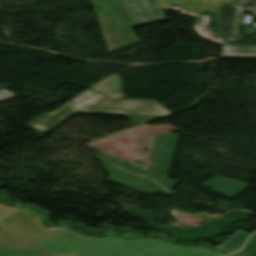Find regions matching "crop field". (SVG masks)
Listing matches in <instances>:
<instances>
[{
  "mask_svg": "<svg viewBox=\"0 0 256 256\" xmlns=\"http://www.w3.org/2000/svg\"><path fill=\"white\" fill-rule=\"evenodd\" d=\"M0 256H57L0 224Z\"/></svg>",
  "mask_w": 256,
  "mask_h": 256,
  "instance_id": "obj_6",
  "label": "crop field"
},
{
  "mask_svg": "<svg viewBox=\"0 0 256 256\" xmlns=\"http://www.w3.org/2000/svg\"><path fill=\"white\" fill-rule=\"evenodd\" d=\"M163 9L197 18L193 27L217 44L256 45V31L239 34L243 10L252 11L256 0H159ZM256 16V10L254 14Z\"/></svg>",
  "mask_w": 256,
  "mask_h": 256,
  "instance_id": "obj_2",
  "label": "crop field"
},
{
  "mask_svg": "<svg viewBox=\"0 0 256 256\" xmlns=\"http://www.w3.org/2000/svg\"><path fill=\"white\" fill-rule=\"evenodd\" d=\"M213 189L215 192L221 193L230 198L235 197L244 189H246L250 184L242 183L239 181L231 180L224 177L215 176L209 181L202 184Z\"/></svg>",
  "mask_w": 256,
  "mask_h": 256,
  "instance_id": "obj_7",
  "label": "crop field"
},
{
  "mask_svg": "<svg viewBox=\"0 0 256 256\" xmlns=\"http://www.w3.org/2000/svg\"><path fill=\"white\" fill-rule=\"evenodd\" d=\"M93 1L109 52L138 42L137 37L128 28L134 26V24L131 25L130 23H136L137 20H142L143 22L136 23L139 25L166 18L157 0ZM120 32H122L126 38H124ZM120 39L123 42H121ZM114 43L118 47H116Z\"/></svg>",
  "mask_w": 256,
  "mask_h": 256,
  "instance_id": "obj_5",
  "label": "crop field"
},
{
  "mask_svg": "<svg viewBox=\"0 0 256 256\" xmlns=\"http://www.w3.org/2000/svg\"><path fill=\"white\" fill-rule=\"evenodd\" d=\"M14 96H16V95L5 90V89L0 91V101L6 100V99L14 97Z\"/></svg>",
  "mask_w": 256,
  "mask_h": 256,
  "instance_id": "obj_11",
  "label": "crop field"
},
{
  "mask_svg": "<svg viewBox=\"0 0 256 256\" xmlns=\"http://www.w3.org/2000/svg\"><path fill=\"white\" fill-rule=\"evenodd\" d=\"M255 141H256V139H255Z\"/></svg>",
  "mask_w": 256,
  "mask_h": 256,
  "instance_id": "obj_13",
  "label": "crop field"
},
{
  "mask_svg": "<svg viewBox=\"0 0 256 256\" xmlns=\"http://www.w3.org/2000/svg\"><path fill=\"white\" fill-rule=\"evenodd\" d=\"M76 113L123 115L139 124L170 114L157 102L113 100L89 89L57 111L37 117L26 127L44 135Z\"/></svg>",
  "mask_w": 256,
  "mask_h": 256,
  "instance_id": "obj_3",
  "label": "crop field"
},
{
  "mask_svg": "<svg viewBox=\"0 0 256 256\" xmlns=\"http://www.w3.org/2000/svg\"><path fill=\"white\" fill-rule=\"evenodd\" d=\"M38 213L0 204V223L58 256H223L203 247H183L159 239L87 238L72 230L47 229Z\"/></svg>",
  "mask_w": 256,
  "mask_h": 256,
  "instance_id": "obj_1",
  "label": "crop field"
},
{
  "mask_svg": "<svg viewBox=\"0 0 256 256\" xmlns=\"http://www.w3.org/2000/svg\"><path fill=\"white\" fill-rule=\"evenodd\" d=\"M9 86H12V85H3V84H0V90L3 89V88L9 87Z\"/></svg>",
  "mask_w": 256,
  "mask_h": 256,
  "instance_id": "obj_12",
  "label": "crop field"
},
{
  "mask_svg": "<svg viewBox=\"0 0 256 256\" xmlns=\"http://www.w3.org/2000/svg\"><path fill=\"white\" fill-rule=\"evenodd\" d=\"M250 234L237 230L228 240L215 247L227 253L241 248Z\"/></svg>",
  "mask_w": 256,
  "mask_h": 256,
  "instance_id": "obj_9",
  "label": "crop field"
},
{
  "mask_svg": "<svg viewBox=\"0 0 256 256\" xmlns=\"http://www.w3.org/2000/svg\"><path fill=\"white\" fill-rule=\"evenodd\" d=\"M222 58H256V46L224 45Z\"/></svg>",
  "mask_w": 256,
  "mask_h": 256,
  "instance_id": "obj_8",
  "label": "crop field"
},
{
  "mask_svg": "<svg viewBox=\"0 0 256 256\" xmlns=\"http://www.w3.org/2000/svg\"><path fill=\"white\" fill-rule=\"evenodd\" d=\"M230 256H256V233L252 235L244 249Z\"/></svg>",
  "mask_w": 256,
  "mask_h": 256,
  "instance_id": "obj_10",
  "label": "crop field"
},
{
  "mask_svg": "<svg viewBox=\"0 0 256 256\" xmlns=\"http://www.w3.org/2000/svg\"><path fill=\"white\" fill-rule=\"evenodd\" d=\"M180 133L158 136L148 171L105 156L100 160L108 174V180L134 188L152 196L154 193L171 194L178 182L167 178Z\"/></svg>",
  "mask_w": 256,
  "mask_h": 256,
  "instance_id": "obj_4",
  "label": "crop field"
}]
</instances>
